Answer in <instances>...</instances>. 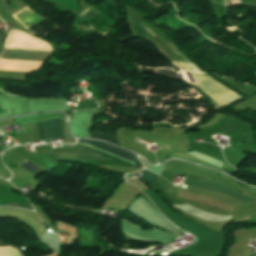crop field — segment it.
I'll list each match as a JSON object with an SVG mask.
<instances>
[{"instance_id":"10","label":"crop field","mask_w":256,"mask_h":256,"mask_svg":"<svg viewBox=\"0 0 256 256\" xmlns=\"http://www.w3.org/2000/svg\"><path fill=\"white\" fill-rule=\"evenodd\" d=\"M1 244V243H0ZM3 246H5V245H3Z\"/></svg>"},{"instance_id":"9","label":"crop field","mask_w":256,"mask_h":256,"mask_svg":"<svg viewBox=\"0 0 256 256\" xmlns=\"http://www.w3.org/2000/svg\"><path fill=\"white\" fill-rule=\"evenodd\" d=\"M7 35L0 32V44L4 46V41L6 39Z\"/></svg>"},{"instance_id":"2","label":"crop field","mask_w":256,"mask_h":256,"mask_svg":"<svg viewBox=\"0 0 256 256\" xmlns=\"http://www.w3.org/2000/svg\"><path fill=\"white\" fill-rule=\"evenodd\" d=\"M40 139H64L61 119L37 123Z\"/></svg>"},{"instance_id":"7","label":"crop field","mask_w":256,"mask_h":256,"mask_svg":"<svg viewBox=\"0 0 256 256\" xmlns=\"http://www.w3.org/2000/svg\"><path fill=\"white\" fill-rule=\"evenodd\" d=\"M158 175L152 174L148 171H144L143 176L141 177V181L144 183H147L149 186L152 185V183L157 179Z\"/></svg>"},{"instance_id":"8","label":"crop field","mask_w":256,"mask_h":256,"mask_svg":"<svg viewBox=\"0 0 256 256\" xmlns=\"http://www.w3.org/2000/svg\"><path fill=\"white\" fill-rule=\"evenodd\" d=\"M4 206H16V207H20V208H24V209H28V210H32L33 209V208H30V207H26V206L14 204V203L5 204Z\"/></svg>"},{"instance_id":"6","label":"crop field","mask_w":256,"mask_h":256,"mask_svg":"<svg viewBox=\"0 0 256 256\" xmlns=\"http://www.w3.org/2000/svg\"><path fill=\"white\" fill-rule=\"evenodd\" d=\"M21 162L24 163L21 167H23V168L27 169L28 171L34 173L35 176L40 174V173H42V172H44L40 168H38L36 165L32 164L31 162H29V161H27L25 159L23 161H21Z\"/></svg>"},{"instance_id":"4","label":"crop field","mask_w":256,"mask_h":256,"mask_svg":"<svg viewBox=\"0 0 256 256\" xmlns=\"http://www.w3.org/2000/svg\"><path fill=\"white\" fill-rule=\"evenodd\" d=\"M191 184L196 185V186H200V187H204V188H208V189H213V190L224 192L226 194H229L231 196H234V197L238 198L239 200H241L244 203H246L248 201H252L251 199L243 196L241 193H239L238 191H236L234 189H230V188H227V187L215 185V184H212V183H209V182H206V181H200V180L193 179Z\"/></svg>"},{"instance_id":"1","label":"crop field","mask_w":256,"mask_h":256,"mask_svg":"<svg viewBox=\"0 0 256 256\" xmlns=\"http://www.w3.org/2000/svg\"><path fill=\"white\" fill-rule=\"evenodd\" d=\"M54 157L59 159H75V160H83V161H95V160H107L100 155H96L88 150H85L80 147L75 148H54L48 151Z\"/></svg>"},{"instance_id":"3","label":"crop field","mask_w":256,"mask_h":256,"mask_svg":"<svg viewBox=\"0 0 256 256\" xmlns=\"http://www.w3.org/2000/svg\"><path fill=\"white\" fill-rule=\"evenodd\" d=\"M79 142H80V143H84V144H88V145H92V146H96V147H100V148H104V149H106V150H108V151H111V152H113V153H116V154H118V155H120V156H123V157H125V158H128V159L134 161V163H135V165H136L135 167H139V166H140V165L137 163L134 154L129 153V152H127V151H124V150H122V149H119V148L110 146V145L105 144V143H101V142H99V141L79 140ZM77 146L86 148V149H88V150H92V151L97 152V153H99V154H101V155H104V156L110 157V158H112V159L118 160V159L113 158V157H111V156H109V155H106V154H104V153L98 152V151H96V150H93V149H90V148H87V147H84V146H82V145L77 144ZM118 161H120V162H122V163H124V164H126V165L133 166V165L128 164V163H126V162H123V161H121V160H118Z\"/></svg>"},{"instance_id":"5","label":"crop field","mask_w":256,"mask_h":256,"mask_svg":"<svg viewBox=\"0 0 256 256\" xmlns=\"http://www.w3.org/2000/svg\"><path fill=\"white\" fill-rule=\"evenodd\" d=\"M89 138H92V139H102V140H105L107 142L119 145V142H118V140L115 137H113L110 134L104 133V132H92V133H89Z\"/></svg>"}]
</instances>
